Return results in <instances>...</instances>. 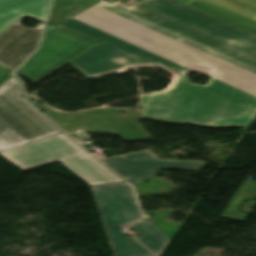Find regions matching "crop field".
<instances>
[{"label":"crop field","mask_w":256,"mask_h":256,"mask_svg":"<svg viewBox=\"0 0 256 256\" xmlns=\"http://www.w3.org/2000/svg\"><path fill=\"white\" fill-rule=\"evenodd\" d=\"M58 27L104 40L70 62L87 77L158 64L179 73L142 111L97 109L47 113L66 132L150 136L139 118L200 126H245L256 116V35L175 0H144L124 10L101 2ZM190 69L211 76L191 84Z\"/></svg>","instance_id":"obj_1"},{"label":"crop field","mask_w":256,"mask_h":256,"mask_svg":"<svg viewBox=\"0 0 256 256\" xmlns=\"http://www.w3.org/2000/svg\"><path fill=\"white\" fill-rule=\"evenodd\" d=\"M0 154L22 170L59 160L90 185L123 181L64 134Z\"/></svg>","instance_id":"obj_2"},{"label":"crop field","mask_w":256,"mask_h":256,"mask_svg":"<svg viewBox=\"0 0 256 256\" xmlns=\"http://www.w3.org/2000/svg\"><path fill=\"white\" fill-rule=\"evenodd\" d=\"M57 134L61 132L22 98L14 76L0 88V151Z\"/></svg>","instance_id":"obj_3"},{"label":"crop field","mask_w":256,"mask_h":256,"mask_svg":"<svg viewBox=\"0 0 256 256\" xmlns=\"http://www.w3.org/2000/svg\"><path fill=\"white\" fill-rule=\"evenodd\" d=\"M116 256H155L116 228L142 217L133 187L126 182L92 187Z\"/></svg>","instance_id":"obj_4"},{"label":"crop field","mask_w":256,"mask_h":256,"mask_svg":"<svg viewBox=\"0 0 256 256\" xmlns=\"http://www.w3.org/2000/svg\"><path fill=\"white\" fill-rule=\"evenodd\" d=\"M100 42L49 25L41 49L18 74L37 82Z\"/></svg>","instance_id":"obj_5"},{"label":"crop field","mask_w":256,"mask_h":256,"mask_svg":"<svg viewBox=\"0 0 256 256\" xmlns=\"http://www.w3.org/2000/svg\"><path fill=\"white\" fill-rule=\"evenodd\" d=\"M126 181L155 177L161 168L199 170L205 162L158 159L149 152L102 159Z\"/></svg>","instance_id":"obj_6"},{"label":"crop field","mask_w":256,"mask_h":256,"mask_svg":"<svg viewBox=\"0 0 256 256\" xmlns=\"http://www.w3.org/2000/svg\"><path fill=\"white\" fill-rule=\"evenodd\" d=\"M21 17L9 29L0 35V64L13 72L36 49L44 23L30 28L22 25Z\"/></svg>","instance_id":"obj_7"},{"label":"crop field","mask_w":256,"mask_h":256,"mask_svg":"<svg viewBox=\"0 0 256 256\" xmlns=\"http://www.w3.org/2000/svg\"><path fill=\"white\" fill-rule=\"evenodd\" d=\"M256 34V0H177Z\"/></svg>","instance_id":"obj_8"},{"label":"crop field","mask_w":256,"mask_h":256,"mask_svg":"<svg viewBox=\"0 0 256 256\" xmlns=\"http://www.w3.org/2000/svg\"><path fill=\"white\" fill-rule=\"evenodd\" d=\"M51 0H0V34L21 16L45 22Z\"/></svg>","instance_id":"obj_9"},{"label":"crop field","mask_w":256,"mask_h":256,"mask_svg":"<svg viewBox=\"0 0 256 256\" xmlns=\"http://www.w3.org/2000/svg\"><path fill=\"white\" fill-rule=\"evenodd\" d=\"M249 199H256V181L246 179L226 207L221 217L244 222L248 215L238 211L237 208L243 200Z\"/></svg>","instance_id":"obj_10"},{"label":"crop field","mask_w":256,"mask_h":256,"mask_svg":"<svg viewBox=\"0 0 256 256\" xmlns=\"http://www.w3.org/2000/svg\"><path fill=\"white\" fill-rule=\"evenodd\" d=\"M144 236L137 238L141 243L160 256L170 239L145 220L129 224Z\"/></svg>","instance_id":"obj_11"},{"label":"crop field","mask_w":256,"mask_h":256,"mask_svg":"<svg viewBox=\"0 0 256 256\" xmlns=\"http://www.w3.org/2000/svg\"><path fill=\"white\" fill-rule=\"evenodd\" d=\"M12 74H13L12 71L0 66V85L4 81H6Z\"/></svg>","instance_id":"obj_12"},{"label":"crop field","mask_w":256,"mask_h":256,"mask_svg":"<svg viewBox=\"0 0 256 256\" xmlns=\"http://www.w3.org/2000/svg\"><path fill=\"white\" fill-rule=\"evenodd\" d=\"M31 101H32L37 107H39L41 110H43L45 113L51 111V110H50L51 108H49V107H47V106H44V105L38 103V102H40V100H38L37 98L31 99Z\"/></svg>","instance_id":"obj_13"},{"label":"crop field","mask_w":256,"mask_h":256,"mask_svg":"<svg viewBox=\"0 0 256 256\" xmlns=\"http://www.w3.org/2000/svg\"><path fill=\"white\" fill-rule=\"evenodd\" d=\"M112 5L117 6V7L121 8V9H124V8L127 7V6L122 5V4L118 3V2H116V3L112 4Z\"/></svg>","instance_id":"obj_14"},{"label":"crop field","mask_w":256,"mask_h":256,"mask_svg":"<svg viewBox=\"0 0 256 256\" xmlns=\"http://www.w3.org/2000/svg\"><path fill=\"white\" fill-rule=\"evenodd\" d=\"M140 182H141L140 180H135V181H129L128 183L134 184V183H140Z\"/></svg>","instance_id":"obj_15"},{"label":"crop field","mask_w":256,"mask_h":256,"mask_svg":"<svg viewBox=\"0 0 256 256\" xmlns=\"http://www.w3.org/2000/svg\"><path fill=\"white\" fill-rule=\"evenodd\" d=\"M145 98H146V96H145V97H142V103H143V101L145 100Z\"/></svg>","instance_id":"obj_16"}]
</instances>
